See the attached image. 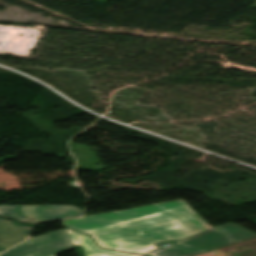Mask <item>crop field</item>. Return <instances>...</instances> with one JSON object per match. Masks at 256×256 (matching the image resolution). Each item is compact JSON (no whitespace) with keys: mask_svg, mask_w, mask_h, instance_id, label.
Masks as SVG:
<instances>
[{"mask_svg":"<svg viewBox=\"0 0 256 256\" xmlns=\"http://www.w3.org/2000/svg\"><path fill=\"white\" fill-rule=\"evenodd\" d=\"M210 227L188 205L137 220L85 232L102 248L142 254L154 248V242L184 239Z\"/></svg>","mask_w":256,"mask_h":256,"instance_id":"crop-field-1","label":"crop field"},{"mask_svg":"<svg viewBox=\"0 0 256 256\" xmlns=\"http://www.w3.org/2000/svg\"><path fill=\"white\" fill-rule=\"evenodd\" d=\"M256 234L234 223L212 228L185 240L165 241L155 244L157 250L146 255L150 256H194L202 252L234 244ZM167 244L168 247H161Z\"/></svg>","mask_w":256,"mask_h":256,"instance_id":"crop-field-2","label":"crop field"},{"mask_svg":"<svg viewBox=\"0 0 256 256\" xmlns=\"http://www.w3.org/2000/svg\"><path fill=\"white\" fill-rule=\"evenodd\" d=\"M186 205L183 200L174 201L169 203L157 204L152 206H146L141 208L81 217L76 219H70L62 221L63 225L72 228L77 231L85 232L140 217L152 215L155 213L163 212L166 210L178 208ZM64 226V227H65Z\"/></svg>","mask_w":256,"mask_h":256,"instance_id":"crop-field-3","label":"crop field"},{"mask_svg":"<svg viewBox=\"0 0 256 256\" xmlns=\"http://www.w3.org/2000/svg\"><path fill=\"white\" fill-rule=\"evenodd\" d=\"M82 214L83 210L75 206H0V217L33 225Z\"/></svg>","mask_w":256,"mask_h":256,"instance_id":"crop-field-4","label":"crop field"},{"mask_svg":"<svg viewBox=\"0 0 256 256\" xmlns=\"http://www.w3.org/2000/svg\"><path fill=\"white\" fill-rule=\"evenodd\" d=\"M73 249L65 229H63L31 238L0 256H54L57 253Z\"/></svg>","mask_w":256,"mask_h":256,"instance_id":"crop-field-5","label":"crop field"},{"mask_svg":"<svg viewBox=\"0 0 256 256\" xmlns=\"http://www.w3.org/2000/svg\"><path fill=\"white\" fill-rule=\"evenodd\" d=\"M33 227L0 218V252L23 241Z\"/></svg>","mask_w":256,"mask_h":256,"instance_id":"crop-field-6","label":"crop field"},{"mask_svg":"<svg viewBox=\"0 0 256 256\" xmlns=\"http://www.w3.org/2000/svg\"><path fill=\"white\" fill-rule=\"evenodd\" d=\"M66 231L74 245L83 247L85 256H137L136 254L112 252L100 249L94 244L89 236L67 229Z\"/></svg>","mask_w":256,"mask_h":256,"instance_id":"crop-field-7","label":"crop field"},{"mask_svg":"<svg viewBox=\"0 0 256 256\" xmlns=\"http://www.w3.org/2000/svg\"><path fill=\"white\" fill-rule=\"evenodd\" d=\"M227 255L226 253H223L219 250H216V251H213V252H210V253H206V254H203V255H200V256H225Z\"/></svg>","mask_w":256,"mask_h":256,"instance_id":"crop-field-8","label":"crop field"},{"mask_svg":"<svg viewBox=\"0 0 256 256\" xmlns=\"http://www.w3.org/2000/svg\"><path fill=\"white\" fill-rule=\"evenodd\" d=\"M147 235V234H146ZM149 236V235H148ZM150 237V236H149ZM151 238V237H150ZM152 239V238H151ZM154 244V243H153ZM155 246V245H154Z\"/></svg>","mask_w":256,"mask_h":256,"instance_id":"crop-field-9","label":"crop field"}]
</instances>
